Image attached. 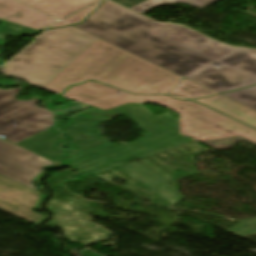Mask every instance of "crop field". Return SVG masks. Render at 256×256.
<instances>
[{
	"mask_svg": "<svg viewBox=\"0 0 256 256\" xmlns=\"http://www.w3.org/2000/svg\"><path fill=\"white\" fill-rule=\"evenodd\" d=\"M41 42L34 41L13 57L0 71L42 88L97 38L74 27L48 30Z\"/></svg>",
	"mask_w": 256,
	"mask_h": 256,
	"instance_id": "obj_4",
	"label": "crop field"
},
{
	"mask_svg": "<svg viewBox=\"0 0 256 256\" xmlns=\"http://www.w3.org/2000/svg\"><path fill=\"white\" fill-rule=\"evenodd\" d=\"M119 108L149 137L118 147L95 132V127L105 120L70 119L61 131L70 137L79 154L60 163L94 175L117 167L170 203L181 201L182 198L168 188L169 182L136 160L191 139L178 133L176 118L168 114L154 116L142 104Z\"/></svg>",
	"mask_w": 256,
	"mask_h": 256,
	"instance_id": "obj_2",
	"label": "crop field"
},
{
	"mask_svg": "<svg viewBox=\"0 0 256 256\" xmlns=\"http://www.w3.org/2000/svg\"><path fill=\"white\" fill-rule=\"evenodd\" d=\"M113 1L125 6L127 8H130L144 0H113Z\"/></svg>",
	"mask_w": 256,
	"mask_h": 256,
	"instance_id": "obj_20",
	"label": "crop field"
},
{
	"mask_svg": "<svg viewBox=\"0 0 256 256\" xmlns=\"http://www.w3.org/2000/svg\"><path fill=\"white\" fill-rule=\"evenodd\" d=\"M75 27L217 93L256 84V50L155 23L108 0Z\"/></svg>",
	"mask_w": 256,
	"mask_h": 256,
	"instance_id": "obj_1",
	"label": "crop field"
},
{
	"mask_svg": "<svg viewBox=\"0 0 256 256\" xmlns=\"http://www.w3.org/2000/svg\"><path fill=\"white\" fill-rule=\"evenodd\" d=\"M100 2L62 20L61 22L53 25L50 28L63 27L66 25L74 24V23H80L89 13H91L100 4Z\"/></svg>",
	"mask_w": 256,
	"mask_h": 256,
	"instance_id": "obj_18",
	"label": "crop field"
},
{
	"mask_svg": "<svg viewBox=\"0 0 256 256\" xmlns=\"http://www.w3.org/2000/svg\"><path fill=\"white\" fill-rule=\"evenodd\" d=\"M80 256H100L98 254H95L89 250H83L81 252H79Z\"/></svg>",
	"mask_w": 256,
	"mask_h": 256,
	"instance_id": "obj_21",
	"label": "crop field"
},
{
	"mask_svg": "<svg viewBox=\"0 0 256 256\" xmlns=\"http://www.w3.org/2000/svg\"><path fill=\"white\" fill-rule=\"evenodd\" d=\"M179 133L195 141L242 136L256 143V131L194 102L180 100Z\"/></svg>",
	"mask_w": 256,
	"mask_h": 256,
	"instance_id": "obj_6",
	"label": "crop field"
},
{
	"mask_svg": "<svg viewBox=\"0 0 256 256\" xmlns=\"http://www.w3.org/2000/svg\"><path fill=\"white\" fill-rule=\"evenodd\" d=\"M59 135L54 126L17 144L32 149L40 155L56 161L59 157L67 156V153L55 150L57 145L62 142L58 137Z\"/></svg>",
	"mask_w": 256,
	"mask_h": 256,
	"instance_id": "obj_12",
	"label": "crop field"
},
{
	"mask_svg": "<svg viewBox=\"0 0 256 256\" xmlns=\"http://www.w3.org/2000/svg\"><path fill=\"white\" fill-rule=\"evenodd\" d=\"M223 95L256 110V86L247 87L239 91L225 93Z\"/></svg>",
	"mask_w": 256,
	"mask_h": 256,
	"instance_id": "obj_16",
	"label": "crop field"
},
{
	"mask_svg": "<svg viewBox=\"0 0 256 256\" xmlns=\"http://www.w3.org/2000/svg\"><path fill=\"white\" fill-rule=\"evenodd\" d=\"M23 5L13 0H0V19L39 31L57 21Z\"/></svg>",
	"mask_w": 256,
	"mask_h": 256,
	"instance_id": "obj_10",
	"label": "crop field"
},
{
	"mask_svg": "<svg viewBox=\"0 0 256 256\" xmlns=\"http://www.w3.org/2000/svg\"><path fill=\"white\" fill-rule=\"evenodd\" d=\"M169 94L173 96H184L193 99L195 97H203L215 94V92L184 78L169 92Z\"/></svg>",
	"mask_w": 256,
	"mask_h": 256,
	"instance_id": "obj_14",
	"label": "crop field"
},
{
	"mask_svg": "<svg viewBox=\"0 0 256 256\" xmlns=\"http://www.w3.org/2000/svg\"><path fill=\"white\" fill-rule=\"evenodd\" d=\"M182 79L98 39L43 89L60 94L71 84L94 80L135 94H167Z\"/></svg>",
	"mask_w": 256,
	"mask_h": 256,
	"instance_id": "obj_3",
	"label": "crop field"
},
{
	"mask_svg": "<svg viewBox=\"0 0 256 256\" xmlns=\"http://www.w3.org/2000/svg\"><path fill=\"white\" fill-rule=\"evenodd\" d=\"M61 96L103 110L127 103H152L177 112L179 103L178 99H172L168 96H135L91 81L69 87Z\"/></svg>",
	"mask_w": 256,
	"mask_h": 256,
	"instance_id": "obj_7",
	"label": "crop field"
},
{
	"mask_svg": "<svg viewBox=\"0 0 256 256\" xmlns=\"http://www.w3.org/2000/svg\"><path fill=\"white\" fill-rule=\"evenodd\" d=\"M53 162L0 139V175L36 190L31 179L40 173V165Z\"/></svg>",
	"mask_w": 256,
	"mask_h": 256,
	"instance_id": "obj_8",
	"label": "crop field"
},
{
	"mask_svg": "<svg viewBox=\"0 0 256 256\" xmlns=\"http://www.w3.org/2000/svg\"><path fill=\"white\" fill-rule=\"evenodd\" d=\"M20 88H0V135L17 143L54 125L52 114L38 100L15 101Z\"/></svg>",
	"mask_w": 256,
	"mask_h": 256,
	"instance_id": "obj_5",
	"label": "crop field"
},
{
	"mask_svg": "<svg viewBox=\"0 0 256 256\" xmlns=\"http://www.w3.org/2000/svg\"><path fill=\"white\" fill-rule=\"evenodd\" d=\"M41 10L57 19H61L96 0H19Z\"/></svg>",
	"mask_w": 256,
	"mask_h": 256,
	"instance_id": "obj_13",
	"label": "crop field"
},
{
	"mask_svg": "<svg viewBox=\"0 0 256 256\" xmlns=\"http://www.w3.org/2000/svg\"><path fill=\"white\" fill-rule=\"evenodd\" d=\"M122 113V111L116 107L108 111H103L96 107L74 117V118H89V119H105L108 120L118 114Z\"/></svg>",
	"mask_w": 256,
	"mask_h": 256,
	"instance_id": "obj_17",
	"label": "crop field"
},
{
	"mask_svg": "<svg viewBox=\"0 0 256 256\" xmlns=\"http://www.w3.org/2000/svg\"><path fill=\"white\" fill-rule=\"evenodd\" d=\"M230 232L241 237H248L256 235V220L249 222H239V224Z\"/></svg>",
	"mask_w": 256,
	"mask_h": 256,
	"instance_id": "obj_19",
	"label": "crop field"
},
{
	"mask_svg": "<svg viewBox=\"0 0 256 256\" xmlns=\"http://www.w3.org/2000/svg\"><path fill=\"white\" fill-rule=\"evenodd\" d=\"M197 101L256 128V111L221 94Z\"/></svg>",
	"mask_w": 256,
	"mask_h": 256,
	"instance_id": "obj_11",
	"label": "crop field"
},
{
	"mask_svg": "<svg viewBox=\"0 0 256 256\" xmlns=\"http://www.w3.org/2000/svg\"><path fill=\"white\" fill-rule=\"evenodd\" d=\"M214 1H216V0H146V1L130 8V10L141 14L153 7L160 6V5H166V4H173V3H177V2H181V3L187 4V5L194 6L198 9H201V8L211 4Z\"/></svg>",
	"mask_w": 256,
	"mask_h": 256,
	"instance_id": "obj_15",
	"label": "crop field"
},
{
	"mask_svg": "<svg viewBox=\"0 0 256 256\" xmlns=\"http://www.w3.org/2000/svg\"><path fill=\"white\" fill-rule=\"evenodd\" d=\"M41 193L0 176V209L30 223L44 220V216L31 211Z\"/></svg>",
	"mask_w": 256,
	"mask_h": 256,
	"instance_id": "obj_9",
	"label": "crop field"
}]
</instances>
